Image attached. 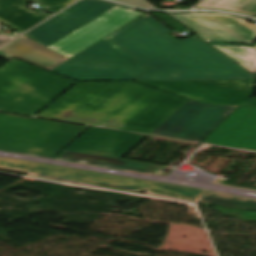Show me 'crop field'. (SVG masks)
Wrapping results in <instances>:
<instances>
[{
  "label": "crop field",
  "mask_w": 256,
  "mask_h": 256,
  "mask_svg": "<svg viewBox=\"0 0 256 256\" xmlns=\"http://www.w3.org/2000/svg\"><path fill=\"white\" fill-rule=\"evenodd\" d=\"M187 101L134 82H78L37 116L150 134Z\"/></svg>",
  "instance_id": "1"
},
{
  "label": "crop field",
  "mask_w": 256,
  "mask_h": 256,
  "mask_svg": "<svg viewBox=\"0 0 256 256\" xmlns=\"http://www.w3.org/2000/svg\"><path fill=\"white\" fill-rule=\"evenodd\" d=\"M147 14L107 36L150 68L134 80L256 79L193 36L176 42Z\"/></svg>",
  "instance_id": "2"
},
{
  "label": "crop field",
  "mask_w": 256,
  "mask_h": 256,
  "mask_svg": "<svg viewBox=\"0 0 256 256\" xmlns=\"http://www.w3.org/2000/svg\"><path fill=\"white\" fill-rule=\"evenodd\" d=\"M74 82L14 59L0 69V110L34 115Z\"/></svg>",
  "instance_id": "3"
},
{
  "label": "crop field",
  "mask_w": 256,
  "mask_h": 256,
  "mask_svg": "<svg viewBox=\"0 0 256 256\" xmlns=\"http://www.w3.org/2000/svg\"><path fill=\"white\" fill-rule=\"evenodd\" d=\"M87 128L0 113V149L55 157Z\"/></svg>",
  "instance_id": "4"
},
{
  "label": "crop field",
  "mask_w": 256,
  "mask_h": 256,
  "mask_svg": "<svg viewBox=\"0 0 256 256\" xmlns=\"http://www.w3.org/2000/svg\"><path fill=\"white\" fill-rule=\"evenodd\" d=\"M145 69L105 37L51 71L77 80H130Z\"/></svg>",
  "instance_id": "5"
},
{
  "label": "crop field",
  "mask_w": 256,
  "mask_h": 256,
  "mask_svg": "<svg viewBox=\"0 0 256 256\" xmlns=\"http://www.w3.org/2000/svg\"><path fill=\"white\" fill-rule=\"evenodd\" d=\"M0 167L16 168L28 170L35 175L53 177L59 179L76 180L86 183H92L97 185L126 188V189H140L145 188L151 192L194 199L197 200L202 190L187 188L175 185H168L162 183H155L149 181H142L130 178H123L111 175H104L86 171H80L75 169H69L64 167H58L53 165L4 159L0 158Z\"/></svg>",
  "instance_id": "6"
},
{
  "label": "crop field",
  "mask_w": 256,
  "mask_h": 256,
  "mask_svg": "<svg viewBox=\"0 0 256 256\" xmlns=\"http://www.w3.org/2000/svg\"><path fill=\"white\" fill-rule=\"evenodd\" d=\"M137 82L207 104L248 105L256 80Z\"/></svg>",
  "instance_id": "7"
},
{
  "label": "crop field",
  "mask_w": 256,
  "mask_h": 256,
  "mask_svg": "<svg viewBox=\"0 0 256 256\" xmlns=\"http://www.w3.org/2000/svg\"><path fill=\"white\" fill-rule=\"evenodd\" d=\"M167 14L207 42L253 44L256 39V25L233 15L207 12Z\"/></svg>",
  "instance_id": "8"
},
{
  "label": "crop field",
  "mask_w": 256,
  "mask_h": 256,
  "mask_svg": "<svg viewBox=\"0 0 256 256\" xmlns=\"http://www.w3.org/2000/svg\"><path fill=\"white\" fill-rule=\"evenodd\" d=\"M143 14L116 6L71 32L48 48L69 59L76 53Z\"/></svg>",
  "instance_id": "9"
},
{
  "label": "crop field",
  "mask_w": 256,
  "mask_h": 256,
  "mask_svg": "<svg viewBox=\"0 0 256 256\" xmlns=\"http://www.w3.org/2000/svg\"><path fill=\"white\" fill-rule=\"evenodd\" d=\"M114 6L98 0H82L24 35L47 47Z\"/></svg>",
  "instance_id": "10"
},
{
  "label": "crop field",
  "mask_w": 256,
  "mask_h": 256,
  "mask_svg": "<svg viewBox=\"0 0 256 256\" xmlns=\"http://www.w3.org/2000/svg\"><path fill=\"white\" fill-rule=\"evenodd\" d=\"M203 143L256 151V107L239 106Z\"/></svg>",
  "instance_id": "11"
},
{
  "label": "crop field",
  "mask_w": 256,
  "mask_h": 256,
  "mask_svg": "<svg viewBox=\"0 0 256 256\" xmlns=\"http://www.w3.org/2000/svg\"><path fill=\"white\" fill-rule=\"evenodd\" d=\"M145 136L91 127L66 149L121 158Z\"/></svg>",
  "instance_id": "12"
},
{
  "label": "crop field",
  "mask_w": 256,
  "mask_h": 256,
  "mask_svg": "<svg viewBox=\"0 0 256 256\" xmlns=\"http://www.w3.org/2000/svg\"><path fill=\"white\" fill-rule=\"evenodd\" d=\"M224 106L189 100L151 134L174 138L185 127L205 130L222 115Z\"/></svg>",
  "instance_id": "13"
},
{
  "label": "crop field",
  "mask_w": 256,
  "mask_h": 256,
  "mask_svg": "<svg viewBox=\"0 0 256 256\" xmlns=\"http://www.w3.org/2000/svg\"><path fill=\"white\" fill-rule=\"evenodd\" d=\"M30 1L47 5L44 10L54 14L75 0H0V22L22 32L50 16L21 7Z\"/></svg>",
  "instance_id": "14"
},
{
  "label": "crop field",
  "mask_w": 256,
  "mask_h": 256,
  "mask_svg": "<svg viewBox=\"0 0 256 256\" xmlns=\"http://www.w3.org/2000/svg\"><path fill=\"white\" fill-rule=\"evenodd\" d=\"M0 56L8 59L15 56L48 70L68 60L24 35L1 48Z\"/></svg>",
  "instance_id": "15"
},
{
  "label": "crop field",
  "mask_w": 256,
  "mask_h": 256,
  "mask_svg": "<svg viewBox=\"0 0 256 256\" xmlns=\"http://www.w3.org/2000/svg\"><path fill=\"white\" fill-rule=\"evenodd\" d=\"M59 158L71 160V161L89 163V164H96V165H103V166H109V167L147 172V173H152L158 167H160L158 165L138 163V162H132V161H127V160H122L117 158L90 155V154H84V153L73 152L68 150H65Z\"/></svg>",
  "instance_id": "16"
},
{
  "label": "crop field",
  "mask_w": 256,
  "mask_h": 256,
  "mask_svg": "<svg viewBox=\"0 0 256 256\" xmlns=\"http://www.w3.org/2000/svg\"><path fill=\"white\" fill-rule=\"evenodd\" d=\"M256 76V43L254 45L209 43Z\"/></svg>",
  "instance_id": "17"
},
{
  "label": "crop field",
  "mask_w": 256,
  "mask_h": 256,
  "mask_svg": "<svg viewBox=\"0 0 256 256\" xmlns=\"http://www.w3.org/2000/svg\"><path fill=\"white\" fill-rule=\"evenodd\" d=\"M196 7L256 15V0H204Z\"/></svg>",
  "instance_id": "18"
},
{
  "label": "crop field",
  "mask_w": 256,
  "mask_h": 256,
  "mask_svg": "<svg viewBox=\"0 0 256 256\" xmlns=\"http://www.w3.org/2000/svg\"><path fill=\"white\" fill-rule=\"evenodd\" d=\"M201 202L220 204L232 207L256 210V200L227 194L217 193L205 190L201 198Z\"/></svg>",
  "instance_id": "19"
},
{
  "label": "crop field",
  "mask_w": 256,
  "mask_h": 256,
  "mask_svg": "<svg viewBox=\"0 0 256 256\" xmlns=\"http://www.w3.org/2000/svg\"><path fill=\"white\" fill-rule=\"evenodd\" d=\"M237 106L226 105L223 111V115L217 119L208 129L205 131L185 128L175 138L189 140V141H201L207 136L226 116H228Z\"/></svg>",
  "instance_id": "20"
},
{
  "label": "crop field",
  "mask_w": 256,
  "mask_h": 256,
  "mask_svg": "<svg viewBox=\"0 0 256 256\" xmlns=\"http://www.w3.org/2000/svg\"><path fill=\"white\" fill-rule=\"evenodd\" d=\"M118 1L133 4V5H137V6H142V7H149V8L154 7L153 5H151L150 3H148L145 0H118Z\"/></svg>",
  "instance_id": "21"
},
{
  "label": "crop field",
  "mask_w": 256,
  "mask_h": 256,
  "mask_svg": "<svg viewBox=\"0 0 256 256\" xmlns=\"http://www.w3.org/2000/svg\"><path fill=\"white\" fill-rule=\"evenodd\" d=\"M16 35H18V34H16V33H13L10 35L0 34V45L3 44L4 42L8 41L9 39L13 38Z\"/></svg>",
  "instance_id": "22"
},
{
  "label": "crop field",
  "mask_w": 256,
  "mask_h": 256,
  "mask_svg": "<svg viewBox=\"0 0 256 256\" xmlns=\"http://www.w3.org/2000/svg\"><path fill=\"white\" fill-rule=\"evenodd\" d=\"M14 153V152H13ZM20 154V153H19ZM26 155V154H25ZM33 156V155H32ZM41 157V156H40ZM46 158H49V157H46ZM52 159H55V158H52ZM60 160V159H59ZM66 161V160H65ZM96 166V165H95ZM101 167H103V166H101ZM107 168H109V167H107ZM114 169H116V168H114ZM120 170H123V169H120ZM126 171H129V170H126ZM132 172H135V171H132ZM138 173H141V172H138ZM144 174H147V173H144Z\"/></svg>",
  "instance_id": "23"
},
{
  "label": "crop field",
  "mask_w": 256,
  "mask_h": 256,
  "mask_svg": "<svg viewBox=\"0 0 256 256\" xmlns=\"http://www.w3.org/2000/svg\"><path fill=\"white\" fill-rule=\"evenodd\" d=\"M250 106H256V98H253V101Z\"/></svg>",
  "instance_id": "24"
},
{
  "label": "crop field",
  "mask_w": 256,
  "mask_h": 256,
  "mask_svg": "<svg viewBox=\"0 0 256 256\" xmlns=\"http://www.w3.org/2000/svg\"><path fill=\"white\" fill-rule=\"evenodd\" d=\"M254 186H256V184Z\"/></svg>",
  "instance_id": "25"
},
{
  "label": "crop field",
  "mask_w": 256,
  "mask_h": 256,
  "mask_svg": "<svg viewBox=\"0 0 256 256\" xmlns=\"http://www.w3.org/2000/svg\"><path fill=\"white\" fill-rule=\"evenodd\" d=\"M256 17V16H255Z\"/></svg>",
  "instance_id": "26"
}]
</instances>
